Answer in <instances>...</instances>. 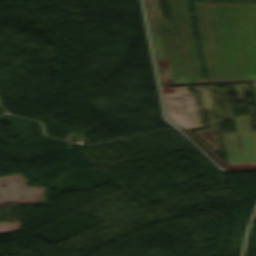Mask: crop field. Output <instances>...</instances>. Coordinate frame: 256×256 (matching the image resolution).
I'll return each mask as SVG.
<instances>
[{"mask_svg": "<svg viewBox=\"0 0 256 256\" xmlns=\"http://www.w3.org/2000/svg\"><path fill=\"white\" fill-rule=\"evenodd\" d=\"M147 1L151 31L156 52L158 68L162 82V95L164 98L168 118L211 157H213L224 168L230 170H247L256 169V165H228L208 146L199 140L188 129L200 127L199 119L194 102L193 92L181 87H168L172 83L170 66L168 62L160 60L156 33L152 21L149 0ZM196 2H256V0H196Z\"/></svg>", "mask_w": 256, "mask_h": 256, "instance_id": "8a807250", "label": "crop field"}]
</instances>
